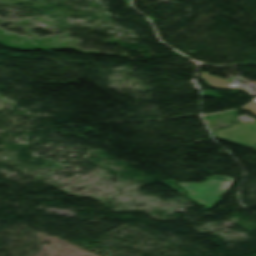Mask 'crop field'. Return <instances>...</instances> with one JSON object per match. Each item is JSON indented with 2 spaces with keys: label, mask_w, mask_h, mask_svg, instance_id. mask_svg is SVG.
<instances>
[{
  "label": "crop field",
  "mask_w": 256,
  "mask_h": 256,
  "mask_svg": "<svg viewBox=\"0 0 256 256\" xmlns=\"http://www.w3.org/2000/svg\"><path fill=\"white\" fill-rule=\"evenodd\" d=\"M232 179L224 176H213L202 184L177 183L188 192L192 200L210 208L230 187Z\"/></svg>",
  "instance_id": "obj_1"
},
{
  "label": "crop field",
  "mask_w": 256,
  "mask_h": 256,
  "mask_svg": "<svg viewBox=\"0 0 256 256\" xmlns=\"http://www.w3.org/2000/svg\"><path fill=\"white\" fill-rule=\"evenodd\" d=\"M215 137L234 143L253 145L256 143V121L254 124H236L230 128L215 131Z\"/></svg>",
  "instance_id": "obj_2"
},
{
  "label": "crop field",
  "mask_w": 256,
  "mask_h": 256,
  "mask_svg": "<svg viewBox=\"0 0 256 256\" xmlns=\"http://www.w3.org/2000/svg\"><path fill=\"white\" fill-rule=\"evenodd\" d=\"M200 78L204 79L208 84L221 89H232V88H239L246 92L250 91L246 88H242L240 86L231 87L229 86V82L225 79L218 78L216 76H209L207 72H201Z\"/></svg>",
  "instance_id": "obj_3"
},
{
  "label": "crop field",
  "mask_w": 256,
  "mask_h": 256,
  "mask_svg": "<svg viewBox=\"0 0 256 256\" xmlns=\"http://www.w3.org/2000/svg\"><path fill=\"white\" fill-rule=\"evenodd\" d=\"M241 109H243V110H250V111H252L256 115V101L251 103V104H249V105H247V106H245V107H243V108H241Z\"/></svg>",
  "instance_id": "obj_4"
}]
</instances>
